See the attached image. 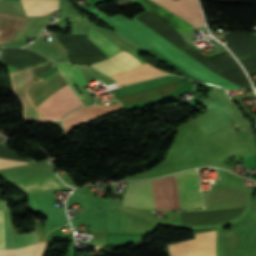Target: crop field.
<instances>
[{
    "instance_id": "crop-field-10",
    "label": "crop field",
    "mask_w": 256,
    "mask_h": 256,
    "mask_svg": "<svg viewBox=\"0 0 256 256\" xmlns=\"http://www.w3.org/2000/svg\"><path fill=\"white\" fill-rule=\"evenodd\" d=\"M161 74H169V73L159 71V70L149 66L147 63H145L137 68L122 72V73L114 75L112 77H114L117 80L118 86H120L123 84L152 78V77H155V76H158Z\"/></svg>"
},
{
    "instance_id": "crop-field-11",
    "label": "crop field",
    "mask_w": 256,
    "mask_h": 256,
    "mask_svg": "<svg viewBox=\"0 0 256 256\" xmlns=\"http://www.w3.org/2000/svg\"><path fill=\"white\" fill-rule=\"evenodd\" d=\"M25 17L0 12V42H9Z\"/></svg>"
},
{
    "instance_id": "crop-field-6",
    "label": "crop field",
    "mask_w": 256,
    "mask_h": 256,
    "mask_svg": "<svg viewBox=\"0 0 256 256\" xmlns=\"http://www.w3.org/2000/svg\"><path fill=\"white\" fill-rule=\"evenodd\" d=\"M142 64L136 60L133 56L125 51H121L114 56L100 62L93 66L101 72L111 76L119 72L132 69Z\"/></svg>"
},
{
    "instance_id": "crop-field-2",
    "label": "crop field",
    "mask_w": 256,
    "mask_h": 256,
    "mask_svg": "<svg viewBox=\"0 0 256 256\" xmlns=\"http://www.w3.org/2000/svg\"><path fill=\"white\" fill-rule=\"evenodd\" d=\"M9 74L13 85V91L20 98L24 106L23 114L25 123L31 122L32 119L46 121L27 93V89L33 85V69L11 72Z\"/></svg>"
},
{
    "instance_id": "crop-field-16",
    "label": "crop field",
    "mask_w": 256,
    "mask_h": 256,
    "mask_svg": "<svg viewBox=\"0 0 256 256\" xmlns=\"http://www.w3.org/2000/svg\"><path fill=\"white\" fill-rule=\"evenodd\" d=\"M3 193H4V190L0 189V196H2ZM0 199H1V197H0Z\"/></svg>"
},
{
    "instance_id": "crop-field-4",
    "label": "crop field",
    "mask_w": 256,
    "mask_h": 256,
    "mask_svg": "<svg viewBox=\"0 0 256 256\" xmlns=\"http://www.w3.org/2000/svg\"><path fill=\"white\" fill-rule=\"evenodd\" d=\"M195 237L170 245L171 256H215V231L197 234Z\"/></svg>"
},
{
    "instance_id": "crop-field-14",
    "label": "crop field",
    "mask_w": 256,
    "mask_h": 256,
    "mask_svg": "<svg viewBox=\"0 0 256 256\" xmlns=\"http://www.w3.org/2000/svg\"><path fill=\"white\" fill-rule=\"evenodd\" d=\"M46 242L20 249L0 250V256H41Z\"/></svg>"
},
{
    "instance_id": "crop-field-7",
    "label": "crop field",
    "mask_w": 256,
    "mask_h": 256,
    "mask_svg": "<svg viewBox=\"0 0 256 256\" xmlns=\"http://www.w3.org/2000/svg\"><path fill=\"white\" fill-rule=\"evenodd\" d=\"M121 107L120 103L114 104L112 106H101L95 105L86 108H82L74 111L65 117L63 121V127L66 133L70 132L73 128H75L78 124L89 120L91 118L97 117L99 115L105 114L113 109Z\"/></svg>"
},
{
    "instance_id": "crop-field-8",
    "label": "crop field",
    "mask_w": 256,
    "mask_h": 256,
    "mask_svg": "<svg viewBox=\"0 0 256 256\" xmlns=\"http://www.w3.org/2000/svg\"><path fill=\"white\" fill-rule=\"evenodd\" d=\"M26 163L8 161L0 159V168L21 165ZM18 184L28 192L46 190L52 188L66 187L55 173L46 176L18 182Z\"/></svg>"
},
{
    "instance_id": "crop-field-5",
    "label": "crop field",
    "mask_w": 256,
    "mask_h": 256,
    "mask_svg": "<svg viewBox=\"0 0 256 256\" xmlns=\"http://www.w3.org/2000/svg\"><path fill=\"white\" fill-rule=\"evenodd\" d=\"M182 20L199 28L205 26L197 0H151Z\"/></svg>"
},
{
    "instance_id": "crop-field-9",
    "label": "crop field",
    "mask_w": 256,
    "mask_h": 256,
    "mask_svg": "<svg viewBox=\"0 0 256 256\" xmlns=\"http://www.w3.org/2000/svg\"><path fill=\"white\" fill-rule=\"evenodd\" d=\"M0 209H3L6 248H18L38 242L35 232L24 235L11 234L9 213L5 210L2 201H0Z\"/></svg>"
},
{
    "instance_id": "crop-field-12",
    "label": "crop field",
    "mask_w": 256,
    "mask_h": 256,
    "mask_svg": "<svg viewBox=\"0 0 256 256\" xmlns=\"http://www.w3.org/2000/svg\"><path fill=\"white\" fill-rule=\"evenodd\" d=\"M56 66L60 70L67 84H69L70 87L73 89L76 96L80 100L84 99L74 86V85H83L87 83L82 72L76 66L71 64L60 63V64H56Z\"/></svg>"
},
{
    "instance_id": "crop-field-3",
    "label": "crop field",
    "mask_w": 256,
    "mask_h": 256,
    "mask_svg": "<svg viewBox=\"0 0 256 256\" xmlns=\"http://www.w3.org/2000/svg\"><path fill=\"white\" fill-rule=\"evenodd\" d=\"M84 104L66 86L50 97L38 109L48 120H59L68 112L82 107Z\"/></svg>"
},
{
    "instance_id": "crop-field-13",
    "label": "crop field",
    "mask_w": 256,
    "mask_h": 256,
    "mask_svg": "<svg viewBox=\"0 0 256 256\" xmlns=\"http://www.w3.org/2000/svg\"><path fill=\"white\" fill-rule=\"evenodd\" d=\"M89 39H91L100 49H102L106 54H108L109 57L121 51L93 27L90 28Z\"/></svg>"
},
{
    "instance_id": "crop-field-1",
    "label": "crop field",
    "mask_w": 256,
    "mask_h": 256,
    "mask_svg": "<svg viewBox=\"0 0 256 256\" xmlns=\"http://www.w3.org/2000/svg\"><path fill=\"white\" fill-rule=\"evenodd\" d=\"M182 209L203 208L197 172L176 175ZM176 178L152 181L156 209H181ZM151 181L129 183L122 205L155 209Z\"/></svg>"
},
{
    "instance_id": "crop-field-15",
    "label": "crop field",
    "mask_w": 256,
    "mask_h": 256,
    "mask_svg": "<svg viewBox=\"0 0 256 256\" xmlns=\"http://www.w3.org/2000/svg\"><path fill=\"white\" fill-rule=\"evenodd\" d=\"M0 249H5L2 210H0Z\"/></svg>"
}]
</instances>
